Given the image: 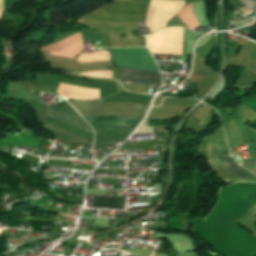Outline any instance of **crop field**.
Wrapping results in <instances>:
<instances>
[{
	"mask_svg": "<svg viewBox=\"0 0 256 256\" xmlns=\"http://www.w3.org/2000/svg\"><path fill=\"white\" fill-rule=\"evenodd\" d=\"M46 127L49 128V129H51V130H54V131H56V132H59V133H61V134H64V135H67V136L76 138V139H78V140H81V141H83V142H85V143H90V144H92V142H93L92 140H89V139H86V138H84V137H81V136H78V135L69 133V132H67V131H64V130L55 128V127L50 126V125H47V124H46Z\"/></svg>",
	"mask_w": 256,
	"mask_h": 256,
	"instance_id": "11",
	"label": "crop field"
},
{
	"mask_svg": "<svg viewBox=\"0 0 256 256\" xmlns=\"http://www.w3.org/2000/svg\"><path fill=\"white\" fill-rule=\"evenodd\" d=\"M218 158L224 164V166L228 169V171L236 176V178L251 179L247 174H245L238 167H236L230 161L229 157H218Z\"/></svg>",
	"mask_w": 256,
	"mask_h": 256,
	"instance_id": "9",
	"label": "crop field"
},
{
	"mask_svg": "<svg viewBox=\"0 0 256 256\" xmlns=\"http://www.w3.org/2000/svg\"><path fill=\"white\" fill-rule=\"evenodd\" d=\"M79 74H83L87 76H95V77L112 78L111 71H87Z\"/></svg>",
	"mask_w": 256,
	"mask_h": 256,
	"instance_id": "12",
	"label": "crop field"
},
{
	"mask_svg": "<svg viewBox=\"0 0 256 256\" xmlns=\"http://www.w3.org/2000/svg\"><path fill=\"white\" fill-rule=\"evenodd\" d=\"M111 50L112 57L118 66L159 72L154 59L146 48H118Z\"/></svg>",
	"mask_w": 256,
	"mask_h": 256,
	"instance_id": "3",
	"label": "crop field"
},
{
	"mask_svg": "<svg viewBox=\"0 0 256 256\" xmlns=\"http://www.w3.org/2000/svg\"><path fill=\"white\" fill-rule=\"evenodd\" d=\"M244 165H246L247 167H249L250 169H254L256 168V165L253 164L250 160L248 162H246Z\"/></svg>",
	"mask_w": 256,
	"mask_h": 256,
	"instance_id": "15",
	"label": "crop field"
},
{
	"mask_svg": "<svg viewBox=\"0 0 256 256\" xmlns=\"http://www.w3.org/2000/svg\"><path fill=\"white\" fill-rule=\"evenodd\" d=\"M147 3V0H111L110 4L81 18L141 23Z\"/></svg>",
	"mask_w": 256,
	"mask_h": 256,
	"instance_id": "1",
	"label": "crop field"
},
{
	"mask_svg": "<svg viewBox=\"0 0 256 256\" xmlns=\"http://www.w3.org/2000/svg\"><path fill=\"white\" fill-rule=\"evenodd\" d=\"M208 154L209 156L229 155L226 144L218 140L209 141Z\"/></svg>",
	"mask_w": 256,
	"mask_h": 256,
	"instance_id": "7",
	"label": "crop field"
},
{
	"mask_svg": "<svg viewBox=\"0 0 256 256\" xmlns=\"http://www.w3.org/2000/svg\"><path fill=\"white\" fill-rule=\"evenodd\" d=\"M176 16L182 20L188 28L194 31L195 27L199 26L198 20L193 13L192 4L185 6Z\"/></svg>",
	"mask_w": 256,
	"mask_h": 256,
	"instance_id": "6",
	"label": "crop field"
},
{
	"mask_svg": "<svg viewBox=\"0 0 256 256\" xmlns=\"http://www.w3.org/2000/svg\"><path fill=\"white\" fill-rule=\"evenodd\" d=\"M76 59H78L81 62L101 61V60H109L110 55L108 52H105V51L92 53V54L83 53L79 55V57Z\"/></svg>",
	"mask_w": 256,
	"mask_h": 256,
	"instance_id": "8",
	"label": "crop field"
},
{
	"mask_svg": "<svg viewBox=\"0 0 256 256\" xmlns=\"http://www.w3.org/2000/svg\"><path fill=\"white\" fill-rule=\"evenodd\" d=\"M123 83L140 85H160V74L119 67Z\"/></svg>",
	"mask_w": 256,
	"mask_h": 256,
	"instance_id": "5",
	"label": "crop field"
},
{
	"mask_svg": "<svg viewBox=\"0 0 256 256\" xmlns=\"http://www.w3.org/2000/svg\"><path fill=\"white\" fill-rule=\"evenodd\" d=\"M210 109L211 108L202 105L193 112L189 119L201 125L207 117Z\"/></svg>",
	"mask_w": 256,
	"mask_h": 256,
	"instance_id": "10",
	"label": "crop field"
},
{
	"mask_svg": "<svg viewBox=\"0 0 256 256\" xmlns=\"http://www.w3.org/2000/svg\"><path fill=\"white\" fill-rule=\"evenodd\" d=\"M69 102L81 115L145 116L147 105L132 103Z\"/></svg>",
	"mask_w": 256,
	"mask_h": 256,
	"instance_id": "2",
	"label": "crop field"
},
{
	"mask_svg": "<svg viewBox=\"0 0 256 256\" xmlns=\"http://www.w3.org/2000/svg\"><path fill=\"white\" fill-rule=\"evenodd\" d=\"M102 34L85 32L84 40H101Z\"/></svg>",
	"mask_w": 256,
	"mask_h": 256,
	"instance_id": "13",
	"label": "crop field"
},
{
	"mask_svg": "<svg viewBox=\"0 0 256 256\" xmlns=\"http://www.w3.org/2000/svg\"><path fill=\"white\" fill-rule=\"evenodd\" d=\"M50 50L53 55H62L66 57H74L82 50V41L80 32L65 38L55 44L44 47L41 51Z\"/></svg>",
	"mask_w": 256,
	"mask_h": 256,
	"instance_id": "4",
	"label": "crop field"
},
{
	"mask_svg": "<svg viewBox=\"0 0 256 256\" xmlns=\"http://www.w3.org/2000/svg\"><path fill=\"white\" fill-rule=\"evenodd\" d=\"M247 38H250V39H253L256 41V22H254L250 29H249V32L247 34Z\"/></svg>",
	"mask_w": 256,
	"mask_h": 256,
	"instance_id": "14",
	"label": "crop field"
}]
</instances>
